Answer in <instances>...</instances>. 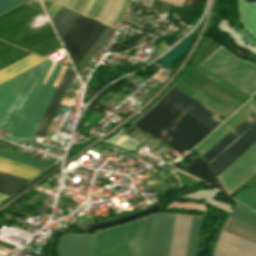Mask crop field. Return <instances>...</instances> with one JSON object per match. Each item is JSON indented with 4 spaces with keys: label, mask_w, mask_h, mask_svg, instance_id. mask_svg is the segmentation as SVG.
<instances>
[{
    "label": "crop field",
    "mask_w": 256,
    "mask_h": 256,
    "mask_svg": "<svg viewBox=\"0 0 256 256\" xmlns=\"http://www.w3.org/2000/svg\"><path fill=\"white\" fill-rule=\"evenodd\" d=\"M26 0H0V14L21 4Z\"/></svg>",
    "instance_id": "32"
},
{
    "label": "crop field",
    "mask_w": 256,
    "mask_h": 256,
    "mask_svg": "<svg viewBox=\"0 0 256 256\" xmlns=\"http://www.w3.org/2000/svg\"><path fill=\"white\" fill-rule=\"evenodd\" d=\"M176 6H181L184 0H164Z\"/></svg>",
    "instance_id": "38"
},
{
    "label": "crop field",
    "mask_w": 256,
    "mask_h": 256,
    "mask_svg": "<svg viewBox=\"0 0 256 256\" xmlns=\"http://www.w3.org/2000/svg\"><path fill=\"white\" fill-rule=\"evenodd\" d=\"M163 99L213 129L226 119L174 86Z\"/></svg>",
    "instance_id": "9"
},
{
    "label": "crop field",
    "mask_w": 256,
    "mask_h": 256,
    "mask_svg": "<svg viewBox=\"0 0 256 256\" xmlns=\"http://www.w3.org/2000/svg\"><path fill=\"white\" fill-rule=\"evenodd\" d=\"M79 13L70 10L64 6L58 11V13L52 19L61 39L65 36L73 23L79 17Z\"/></svg>",
    "instance_id": "22"
},
{
    "label": "crop field",
    "mask_w": 256,
    "mask_h": 256,
    "mask_svg": "<svg viewBox=\"0 0 256 256\" xmlns=\"http://www.w3.org/2000/svg\"><path fill=\"white\" fill-rule=\"evenodd\" d=\"M29 72L30 70L0 85V120L14 99L15 95L17 94L18 90L22 86Z\"/></svg>",
    "instance_id": "18"
},
{
    "label": "crop field",
    "mask_w": 256,
    "mask_h": 256,
    "mask_svg": "<svg viewBox=\"0 0 256 256\" xmlns=\"http://www.w3.org/2000/svg\"><path fill=\"white\" fill-rule=\"evenodd\" d=\"M142 2H145V0H142Z\"/></svg>",
    "instance_id": "47"
},
{
    "label": "crop field",
    "mask_w": 256,
    "mask_h": 256,
    "mask_svg": "<svg viewBox=\"0 0 256 256\" xmlns=\"http://www.w3.org/2000/svg\"><path fill=\"white\" fill-rule=\"evenodd\" d=\"M61 5L57 4V3H53L51 5V7L47 10L50 18L52 19L53 16L56 14V12L60 9Z\"/></svg>",
    "instance_id": "35"
},
{
    "label": "crop field",
    "mask_w": 256,
    "mask_h": 256,
    "mask_svg": "<svg viewBox=\"0 0 256 256\" xmlns=\"http://www.w3.org/2000/svg\"><path fill=\"white\" fill-rule=\"evenodd\" d=\"M202 217L193 216L186 256H196Z\"/></svg>",
    "instance_id": "28"
},
{
    "label": "crop field",
    "mask_w": 256,
    "mask_h": 256,
    "mask_svg": "<svg viewBox=\"0 0 256 256\" xmlns=\"http://www.w3.org/2000/svg\"><path fill=\"white\" fill-rule=\"evenodd\" d=\"M132 124L184 154L213 130L163 99Z\"/></svg>",
    "instance_id": "1"
},
{
    "label": "crop field",
    "mask_w": 256,
    "mask_h": 256,
    "mask_svg": "<svg viewBox=\"0 0 256 256\" xmlns=\"http://www.w3.org/2000/svg\"><path fill=\"white\" fill-rule=\"evenodd\" d=\"M0 245H3L5 247L11 248V249L15 248V246H12V245H9V244L3 243V242H0Z\"/></svg>",
    "instance_id": "40"
},
{
    "label": "crop field",
    "mask_w": 256,
    "mask_h": 256,
    "mask_svg": "<svg viewBox=\"0 0 256 256\" xmlns=\"http://www.w3.org/2000/svg\"><path fill=\"white\" fill-rule=\"evenodd\" d=\"M231 217L236 218L240 221H243L247 224H250L254 227H256V213L240 206V205H236V207L234 208Z\"/></svg>",
    "instance_id": "29"
},
{
    "label": "crop field",
    "mask_w": 256,
    "mask_h": 256,
    "mask_svg": "<svg viewBox=\"0 0 256 256\" xmlns=\"http://www.w3.org/2000/svg\"><path fill=\"white\" fill-rule=\"evenodd\" d=\"M76 1H77V0H72V2H71V0H70L71 4H70V2L68 1L69 4H70V7L73 8V6L75 5ZM67 4H68V3H67ZM69 4H68V6H69ZM70 7H69V8H70ZM72 8H71V9H72Z\"/></svg>",
    "instance_id": "42"
},
{
    "label": "crop field",
    "mask_w": 256,
    "mask_h": 256,
    "mask_svg": "<svg viewBox=\"0 0 256 256\" xmlns=\"http://www.w3.org/2000/svg\"><path fill=\"white\" fill-rule=\"evenodd\" d=\"M192 216L176 215L169 256H185Z\"/></svg>",
    "instance_id": "17"
},
{
    "label": "crop field",
    "mask_w": 256,
    "mask_h": 256,
    "mask_svg": "<svg viewBox=\"0 0 256 256\" xmlns=\"http://www.w3.org/2000/svg\"><path fill=\"white\" fill-rule=\"evenodd\" d=\"M79 1H80V0L77 1L76 5L74 6V9H75L76 6L78 5ZM82 1H83V0H81L80 4L82 3ZM87 1H88V0H84L83 3L81 4V6H80V4L77 6V8L80 6V7L78 8V11L81 12V10H82V9L84 8V6L86 5ZM77 8H76V10H77Z\"/></svg>",
    "instance_id": "37"
},
{
    "label": "crop field",
    "mask_w": 256,
    "mask_h": 256,
    "mask_svg": "<svg viewBox=\"0 0 256 256\" xmlns=\"http://www.w3.org/2000/svg\"><path fill=\"white\" fill-rule=\"evenodd\" d=\"M92 2H93V0L91 1V3H90V5H89L88 9L86 10V12H87V11L89 10V8L91 7ZM86 12H85V14H86Z\"/></svg>",
    "instance_id": "45"
},
{
    "label": "crop field",
    "mask_w": 256,
    "mask_h": 256,
    "mask_svg": "<svg viewBox=\"0 0 256 256\" xmlns=\"http://www.w3.org/2000/svg\"><path fill=\"white\" fill-rule=\"evenodd\" d=\"M106 25L97 20L80 16L62 42L76 66L80 57L85 54Z\"/></svg>",
    "instance_id": "7"
},
{
    "label": "crop field",
    "mask_w": 256,
    "mask_h": 256,
    "mask_svg": "<svg viewBox=\"0 0 256 256\" xmlns=\"http://www.w3.org/2000/svg\"><path fill=\"white\" fill-rule=\"evenodd\" d=\"M174 217L171 214H154L147 256H168Z\"/></svg>",
    "instance_id": "10"
},
{
    "label": "crop field",
    "mask_w": 256,
    "mask_h": 256,
    "mask_svg": "<svg viewBox=\"0 0 256 256\" xmlns=\"http://www.w3.org/2000/svg\"><path fill=\"white\" fill-rule=\"evenodd\" d=\"M96 1H97V0L94 1V3H93V5H92L91 9L88 11L87 15H89V13H90V11L92 10L93 6L95 5ZM104 1H105V0L102 1V3H101V5H100L99 8H98V6H99L101 0H98V1H97L96 5L94 6L93 10H92L91 13H90L91 16H93V14L95 13V11H96L97 8H98V10L96 11V13L94 14V17H96V15H97L98 12L100 11V9H101V7H102Z\"/></svg>",
    "instance_id": "34"
},
{
    "label": "crop field",
    "mask_w": 256,
    "mask_h": 256,
    "mask_svg": "<svg viewBox=\"0 0 256 256\" xmlns=\"http://www.w3.org/2000/svg\"><path fill=\"white\" fill-rule=\"evenodd\" d=\"M123 1H124V0L121 1V5H122ZM121 5H120V7H121ZM119 9H120V8H119ZM118 11H119V10H118ZM117 13H118V12H117ZM117 13H116V15H117ZM116 15H115V16H116ZM115 16H114V18H115ZM114 18H113V19H114ZM113 19H112V21H113ZM112 21L110 22V25H111Z\"/></svg>",
    "instance_id": "43"
},
{
    "label": "crop field",
    "mask_w": 256,
    "mask_h": 256,
    "mask_svg": "<svg viewBox=\"0 0 256 256\" xmlns=\"http://www.w3.org/2000/svg\"><path fill=\"white\" fill-rule=\"evenodd\" d=\"M52 61H48L40 79L38 80L36 86L34 87L33 91L31 92L30 96L28 97V99L26 100L25 104L23 105L22 109L20 110V112L18 113L17 117L15 118V120L13 121L12 125L10 126L9 130L7 131V133L4 136V139L9 140L10 136L12 135L13 131L15 130L16 126L18 125L19 121L21 120L23 114L25 113L26 109L28 108L29 104L31 103L32 99L34 98L41 82L43 81L50 65H51Z\"/></svg>",
    "instance_id": "27"
},
{
    "label": "crop field",
    "mask_w": 256,
    "mask_h": 256,
    "mask_svg": "<svg viewBox=\"0 0 256 256\" xmlns=\"http://www.w3.org/2000/svg\"><path fill=\"white\" fill-rule=\"evenodd\" d=\"M46 62L47 61L33 67L31 73L27 77L26 81L24 82L23 86L21 87L20 91L18 92L16 98L14 99L13 103L11 104L9 110L7 111L6 115L4 116L2 122L0 123V132L2 129L8 130L13 119L15 118L16 114L18 113L19 109L21 108L22 104L24 103L26 97L28 96L29 92L31 91V89L33 88L35 83L37 82Z\"/></svg>",
    "instance_id": "14"
},
{
    "label": "crop field",
    "mask_w": 256,
    "mask_h": 256,
    "mask_svg": "<svg viewBox=\"0 0 256 256\" xmlns=\"http://www.w3.org/2000/svg\"><path fill=\"white\" fill-rule=\"evenodd\" d=\"M141 1V0H140Z\"/></svg>",
    "instance_id": "49"
},
{
    "label": "crop field",
    "mask_w": 256,
    "mask_h": 256,
    "mask_svg": "<svg viewBox=\"0 0 256 256\" xmlns=\"http://www.w3.org/2000/svg\"><path fill=\"white\" fill-rule=\"evenodd\" d=\"M152 217L97 231L91 256H146Z\"/></svg>",
    "instance_id": "2"
},
{
    "label": "crop field",
    "mask_w": 256,
    "mask_h": 256,
    "mask_svg": "<svg viewBox=\"0 0 256 256\" xmlns=\"http://www.w3.org/2000/svg\"><path fill=\"white\" fill-rule=\"evenodd\" d=\"M215 256H256V244L222 230Z\"/></svg>",
    "instance_id": "12"
},
{
    "label": "crop field",
    "mask_w": 256,
    "mask_h": 256,
    "mask_svg": "<svg viewBox=\"0 0 256 256\" xmlns=\"http://www.w3.org/2000/svg\"><path fill=\"white\" fill-rule=\"evenodd\" d=\"M91 0H89L88 4L86 5V7L83 9L82 13H84V11L86 10L87 6L89 5Z\"/></svg>",
    "instance_id": "44"
},
{
    "label": "crop field",
    "mask_w": 256,
    "mask_h": 256,
    "mask_svg": "<svg viewBox=\"0 0 256 256\" xmlns=\"http://www.w3.org/2000/svg\"><path fill=\"white\" fill-rule=\"evenodd\" d=\"M0 171L31 180L43 170L0 157Z\"/></svg>",
    "instance_id": "20"
},
{
    "label": "crop field",
    "mask_w": 256,
    "mask_h": 256,
    "mask_svg": "<svg viewBox=\"0 0 256 256\" xmlns=\"http://www.w3.org/2000/svg\"><path fill=\"white\" fill-rule=\"evenodd\" d=\"M0 156L4 158H8L11 160H15L18 162H22L25 164H29L32 166H36L39 168L47 169L52 163L47 162L45 160H41L35 157H31L25 154H21L15 151H11L8 149H4L0 147Z\"/></svg>",
    "instance_id": "25"
},
{
    "label": "crop field",
    "mask_w": 256,
    "mask_h": 256,
    "mask_svg": "<svg viewBox=\"0 0 256 256\" xmlns=\"http://www.w3.org/2000/svg\"><path fill=\"white\" fill-rule=\"evenodd\" d=\"M109 28H110V26L107 25V27L104 29V31L101 33V35L98 37V39L95 41V43L89 49V52L94 54V52L97 50V48L103 42V40L108 38V36L112 32V30H110Z\"/></svg>",
    "instance_id": "31"
},
{
    "label": "crop field",
    "mask_w": 256,
    "mask_h": 256,
    "mask_svg": "<svg viewBox=\"0 0 256 256\" xmlns=\"http://www.w3.org/2000/svg\"><path fill=\"white\" fill-rule=\"evenodd\" d=\"M184 171L207 181L208 183L212 184L213 186L217 187L218 189L224 192L222 186L214 177L206 161L197 157L191 164H189L184 169Z\"/></svg>",
    "instance_id": "21"
},
{
    "label": "crop field",
    "mask_w": 256,
    "mask_h": 256,
    "mask_svg": "<svg viewBox=\"0 0 256 256\" xmlns=\"http://www.w3.org/2000/svg\"><path fill=\"white\" fill-rule=\"evenodd\" d=\"M94 234L64 235L59 242L58 256H90Z\"/></svg>",
    "instance_id": "13"
},
{
    "label": "crop field",
    "mask_w": 256,
    "mask_h": 256,
    "mask_svg": "<svg viewBox=\"0 0 256 256\" xmlns=\"http://www.w3.org/2000/svg\"><path fill=\"white\" fill-rule=\"evenodd\" d=\"M46 59L37 56L35 54H30L23 59L13 63L12 65L4 68L0 71V83L20 74L21 72L45 61Z\"/></svg>",
    "instance_id": "19"
},
{
    "label": "crop field",
    "mask_w": 256,
    "mask_h": 256,
    "mask_svg": "<svg viewBox=\"0 0 256 256\" xmlns=\"http://www.w3.org/2000/svg\"><path fill=\"white\" fill-rule=\"evenodd\" d=\"M42 11L24 4L0 16V38L43 56L61 47L51 25L33 33L28 23Z\"/></svg>",
    "instance_id": "3"
},
{
    "label": "crop field",
    "mask_w": 256,
    "mask_h": 256,
    "mask_svg": "<svg viewBox=\"0 0 256 256\" xmlns=\"http://www.w3.org/2000/svg\"><path fill=\"white\" fill-rule=\"evenodd\" d=\"M224 230L256 243V228L229 217Z\"/></svg>",
    "instance_id": "24"
},
{
    "label": "crop field",
    "mask_w": 256,
    "mask_h": 256,
    "mask_svg": "<svg viewBox=\"0 0 256 256\" xmlns=\"http://www.w3.org/2000/svg\"><path fill=\"white\" fill-rule=\"evenodd\" d=\"M199 65L251 96L256 92V65L238 59L221 46Z\"/></svg>",
    "instance_id": "5"
},
{
    "label": "crop field",
    "mask_w": 256,
    "mask_h": 256,
    "mask_svg": "<svg viewBox=\"0 0 256 256\" xmlns=\"http://www.w3.org/2000/svg\"><path fill=\"white\" fill-rule=\"evenodd\" d=\"M54 66H55V64L53 63L52 66H51V68H50V70L48 71V73H47L45 79H44V82H47V80H48V78H49V76H50V74H51V72H52Z\"/></svg>",
    "instance_id": "39"
},
{
    "label": "crop field",
    "mask_w": 256,
    "mask_h": 256,
    "mask_svg": "<svg viewBox=\"0 0 256 256\" xmlns=\"http://www.w3.org/2000/svg\"><path fill=\"white\" fill-rule=\"evenodd\" d=\"M237 3L241 23L245 26L244 29L256 38V2H248V0H237ZM244 29L236 32L247 42L256 46V39L253 38Z\"/></svg>",
    "instance_id": "16"
},
{
    "label": "crop field",
    "mask_w": 256,
    "mask_h": 256,
    "mask_svg": "<svg viewBox=\"0 0 256 256\" xmlns=\"http://www.w3.org/2000/svg\"><path fill=\"white\" fill-rule=\"evenodd\" d=\"M106 1H107V0H106ZM106 1H105V3H106ZM111 1H112V0H111ZM117 1H118V0H116V3H117ZM119 1H120V0H119ZM119 1H118L117 5H116V3H115L116 7H115V5H114L115 9H114V7H113L114 11H113L112 15L114 14V12H115V10H116V8H117V6H118V4H119ZM109 2H110V0L107 1V4H106L105 7H104V5H105V3H104V5H103L104 9H103V7H102L103 11H102V9H101L102 12L100 11L101 14H100V12H99L100 16H99V14H98V15H97V18H98V16H99V19H100V17H101V16L103 15V13L105 12V10H106V8H107ZM114 2H115V0H113L112 3L110 2V3H111V5L109 4V5H110V8L108 7L109 10H108V9H107L108 11L106 10V11H107V13L105 12L106 15H105V13H104V15H105V16L103 15L104 18H103V16H102L103 20H102V18H101V20H102L103 22H104V20L107 18V16L110 14L111 8H112ZM113 9H112V10H113ZM112 15H111V16L109 15L110 18L112 17ZM114 15H115V14H114ZM114 15H113V16H114ZM109 16H108V18H109ZM108 18H107V19H108ZM110 18H109V19H110ZM112 18H113V17H112ZM112 18H111V19H112ZM107 19H106V20H107ZM109 19L107 20V23H108ZM111 19H110V21H111ZM106 20H105V22H106ZM110 21H109V22H110ZM108 24H109V23H108Z\"/></svg>",
    "instance_id": "33"
},
{
    "label": "crop field",
    "mask_w": 256,
    "mask_h": 256,
    "mask_svg": "<svg viewBox=\"0 0 256 256\" xmlns=\"http://www.w3.org/2000/svg\"><path fill=\"white\" fill-rule=\"evenodd\" d=\"M74 73V70L67 68L34 135L44 136Z\"/></svg>",
    "instance_id": "15"
},
{
    "label": "crop field",
    "mask_w": 256,
    "mask_h": 256,
    "mask_svg": "<svg viewBox=\"0 0 256 256\" xmlns=\"http://www.w3.org/2000/svg\"><path fill=\"white\" fill-rule=\"evenodd\" d=\"M256 172V143L217 177L230 195Z\"/></svg>",
    "instance_id": "8"
},
{
    "label": "crop field",
    "mask_w": 256,
    "mask_h": 256,
    "mask_svg": "<svg viewBox=\"0 0 256 256\" xmlns=\"http://www.w3.org/2000/svg\"><path fill=\"white\" fill-rule=\"evenodd\" d=\"M234 198L256 210V187L242 189Z\"/></svg>",
    "instance_id": "30"
},
{
    "label": "crop field",
    "mask_w": 256,
    "mask_h": 256,
    "mask_svg": "<svg viewBox=\"0 0 256 256\" xmlns=\"http://www.w3.org/2000/svg\"><path fill=\"white\" fill-rule=\"evenodd\" d=\"M65 1V0H64ZM67 1V0H66ZM64 3V2H63ZM66 3V2H65ZM65 5V4H64Z\"/></svg>",
    "instance_id": "48"
},
{
    "label": "crop field",
    "mask_w": 256,
    "mask_h": 256,
    "mask_svg": "<svg viewBox=\"0 0 256 256\" xmlns=\"http://www.w3.org/2000/svg\"><path fill=\"white\" fill-rule=\"evenodd\" d=\"M56 1L60 2V0H56ZM62 1H63V0H61V3H62Z\"/></svg>",
    "instance_id": "46"
},
{
    "label": "crop field",
    "mask_w": 256,
    "mask_h": 256,
    "mask_svg": "<svg viewBox=\"0 0 256 256\" xmlns=\"http://www.w3.org/2000/svg\"><path fill=\"white\" fill-rule=\"evenodd\" d=\"M7 197H8V195H4V194L0 193V202H2Z\"/></svg>",
    "instance_id": "41"
},
{
    "label": "crop field",
    "mask_w": 256,
    "mask_h": 256,
    "mask_svg": "<svg viewBox=\"0 0 256 256\" xmlns=\"http://www.w3.org/2000/svg\"><path fill=\"white\" fill-rule=\"evenodd\" d=\"M29 180L0 172V192L11 195Z\"/></svg>",
    "instance_id": "26"
},
{
    "label": "crop field",
    "mask_w": 256,
    "mask_h": 256,
    "mask_svg": "<svg viewBox=\"0 0 256 256\" xmlns=\"http://www.w3.org/2000/svg\"><path fill=\"white\" fill-rule=\"evenodd\" d=\"M256 141V110L204 156L216 176Z\"/></svg>",
    "instance_id": "4"
},
{
    "label": "crop field",
    "mask_w": 256,
    "mask_h": 256,
    "mask_svg": "<svg viewBox=\"0 0 256 256\" xmlns=\"http://www.w3.org/2000/svg\"><path fill=\"white\" fill-rule=\"evenodd\" d=\"M256 109V101L251 99L244 106H242L236 113H234L228 120H226L219 128L204 139L197 147L204 155L215 144H217L224 136H226L232 129H234L240 122H242L249 114Z\"/></svg>",
    "instance_id": "11"
},
{
    "label": "crop field",
    "mask_w": 256,
    "mask_h": 256,
    "mask_svg": "<svg viewBox=\"0 0 256 256\" xmlns=\"http://www.w3.org/2000/svg\"><path fill=\"white\" fill-rule=\"evenodd\" d=\"M31 52L0 40V69L23 58Z\"/></svg>",
    "instance_id": "23"
},
{
    "label": "crop field",
    "mask_w": 256,
    "mask_h": 256,
    "mask_svg": "<svg viewBox=\"0 0 256 256\" xmlns=\"http://www.w3.org/2000/svg\"><path fill=\"white\" fill-rule=\"evenodd\" d=\"M61 67V65L56 64L47 84L42 83L38 93L36 94L26 113L24 114L13 135L11 136L10 141L17 144L20 142L21 139L30 141L31 136L34 134L45 112V109L56 89L53 84L57 78Z\"/></svg>",
    "instance_id": "6"
},
{
    "label": "crop field",
    "mask_w": 256,
    "mask_h": 256,
    "mask_svg": "<svg viewBox=\"0 0 256 256\" xmlns=\"http://www.w3.org/2000/svg\"><path fill=\"white\" fill-rule=\"evenodd\" d=\"M129 2H130V0H125V1H124V4H123V6H122L120 12L118 13V15H117V17L115 18L114 21H118V22L120 21V19H121L123 13H124L126 7L128 6Z\"/></svg>",
    "instance_id": "36"
}]
</instances>
